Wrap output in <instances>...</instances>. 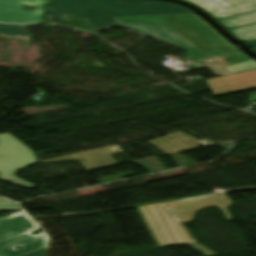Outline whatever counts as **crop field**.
Masks as SVG:
<instances>
[{
    "label": "crop field",
    "mask_w": 256,
    "mask_h": 256,
    "mask_svg": "<svg viewBox=\"0 0 256 256\" xmlns=\"http://www.w3.org/2000/svg\"><path fill=\"white\" fill-rule=\"evenodd\" d=\"M115 20L134 33L150 36L189 51L185 54L194 61L236 50L196 14Z\"/></svg>",
    "instance_id": "8a807250"
},
{
    "label": "crop field",
    "mask_w": 256,
    "mask_h": 256,
    "mask_svg": "<svg viewBox=\"0 0 256 256\" xmlns=\"http://www.w3.org/2000/svg\"><path fill=\"white\" fill-rule=\"evenodd\" d=\"M44 8L45 17L57 22L68 21L65 14L84 17L87 26L94 29L117 23L113 18L193 13L174 3L146 0H51Z\"/></svg>",
    "instance_id": "ac0d7876"
},
{
    "label": "crop field",
    "mask_w": 256,
    "mask_h": 256,
    "mask_svg": "<svg viewBox=\"0 0 256 256\" xmlns=\"http://www.w3.org/2000/svg\"><path fill=\"white\" fill-rule=\"evenodd\" d=\"M37 226L23 211L0 219V255L18 256L46 246L47 237L31 235ZM21 245L23 249L13 247Z\"/></svg>",
    "instance_id": "34b2d1b8"
},
{
    "label": "crop field",
    "mask_w": 256,
    "mask_h": 256,
    "mask_svg": "<svg viewBox=\"0 0 256 256\" xmlns=\"http://www.w3.org/2000/svg\"><path fill=\"white\" fill-rule=\"evenodd\" d=\"M34 153L9 133L0 134V179L18 186L34 188L35 185L16 176L17 170L36 163Z\"/></svg>",
    "instance_id": "412701ff"
},
{
    "label": "crop field",
    "mask_w": 256,
    "mask_h": 256,
    "mask_svg": "<svg viewBox=\"0 0 256 256\" xmlns=\"http://www.w3.org/2000/svg\"><path fill=\"white\" fill-rule=\"evenodd\" d=\"M233 203L224 193L206 195L189 200L166 202L165 204L173 212L181 223L190 222L194 218V211L202 208L218 206L226 216L232 219L226 207Z\"/></svg>",
    "instance_id": "f4fd0767"
},
{
    "label": "crop field",
    "mask_w": 256,
    "mask_h": 256,
    "mask_svg": "<svg viewBox=\"0 0 256 256\" xmlns=\"http://www.w3.org/2000/svg\"><path fill=\"white\" fill-rule=\"evenodd\" d=\"M48 0H0V22L41 23L42 4ZM21 4L36 5L35 12L20 11Z\"/></svg>",
    "instance_id": "dd49c442"
},
{
    "label": "crop field",
    "mask_w": 256,
    "mask_h": 256,
    "mask_svg": "<svg viewBox=\"0 0 256 256\" xmlns=\"http://www.w3.org/2000/svg\"><path fill=\"white\" fill-rule=\"evenodd\" d=\"M210 13L216 20L255 11L256 0H185Z\"/></svg>",
    "instance_id": "e52e79f7"
},
{
    "label": "crop field",
    "mask_w": 256,
    "mask_h": 256,
    "mask_svg": "<svg viewBox=\"0 0 256 256\" xmlns=\"http://www.w3.org/2000/svg\"><path fill=\"white\" fill-rule=\"evenodd\" d=\"M211 69L214 75H225L256 68V61L239 51L225 54L221 57L200 61ZM198 69L204 68L199 62L195 63Z\"/></svg>",
    "instance_id": "d8731c3e"
},
{
    "label": "crop field",
    "mask_w": 256,
    "mask_h": 256,
    "mask_svg": "<svg viewBox=\"0 0 256 256\" xmlns=\"http://www.w3.org/2000/svg\"><path fill=\"white\" fill-rule=\"evenodd\" d=\"M122 151L119 149L117 145L96 149L92 151L77 153L73 155L63 156L54 159L41 160L39 163L44 162H57V161H69L78 159L81 164L86 168L87 171L102 169L112 166H118L119 164L113 159L111 155L121 153ZM87 160L90 165L94 168L92 169L86 162H82L81 159Z\"/></svg>",
    "instance_id": "5a996713"
},
{
    "label": "crop field",
    "mask_w": 256,
    "mask_h": 256,
    "mask_svg": "<svg viewBox=\"0 0 256 256\" xmlns=\"http://www.w3.org/2000/svg\"><path fill=\"white\" fill-rule=\"evenodd\" d=\"M169 138L173 139L172 141ZM180 138L183 141L177 139ZM150 144L161 150L167 155L195 149L196 146L204 145L205 147L213 146L207 140L198 141L192 136H188L182 132L166 135L163 138H159L153 141H149Z\"/></svg>",
    "instance_id": "3316defc"
},
{
    "label": "crop field",
    "mask_w": 256,
    "mask_h": 256,
    "mask_svg": "<svg viewBox=\"0 0 256 256\" xmlns=\"http://www.w3.org/2000/svg\"><path fill=\"white\" fill-rule=\"evenodd\" d=\"M256 79V69L224 77L207 79L210 89Z\"/></svg>",
    "instance_id": "28ad6ade"
},
{
    "label": "crop field",
    "mask_w": 256,
    "mask_h": 256,
    "mask_svg": "<svg viewBox=\"0 0 256 256\" xmlns=\"http://www.w3.org/2000/svg\"><path fill=\"white\" fill-rule=\"evenodd\" d=\"M218 22H220L227 29L244 26L248 24H253V23H256V11L231 17V18H227V19H223V20H219Z\"/></svg>",
    "instance_id": "d1516ede"
},
{
    "label": "crop field",
    "mask_w": 256,
    "mask_h": 256,
    "mask_svg": "<svg viewBox=\"0 0 256 256\" xmlns=\"http://www.w3.org/2000/svg\"><path fill=\"white\" fill-rule=\"evenodd\" d=\"M252 89H256V80L213 89L212 92L214 96L217 97V96H222V95H227V94H232V93H237V92H242V91H247Z\"/></svg>",
    "instance_id": "22f410ed"
},
{
    "label": "crop field",
    "mask_w": 256,
    "mask_h": 256,
    "mask_svg": "<svg viewBox=\"0 0 256 256\" xmlns=\"http://www.w3.org/2000/svg\"><path fill=\"white\" fill-rule=\"evenodd\" d=\"M242 42L256 40V25L230 30Z\"/></svg>",
    "instance_id": "cbeb9de0"
},
{
    "label": "crop field",
    "mask_w": 256,
    "mask_h": 256,
    "mask_svg": "<svg viewBox=\"0 0 256 256\" xmlns=\"http://www.w3.org/2000/svg\"><path fill=\"white\" fill-rule=\"evenodd\" d=\"M24 26L0 24V34L7 37L20 36L27 38L29 35L22 30Z\"/></svg>",
    "instance_id": "5142ce71"
},
{
    "label": "crop field",
    "mask_w": 256,
    "mask_h": 256,
    "mask_svg": "<svg viewBox=\"0 0 256 256\" xmlns=\"http://www.w3.org/2000/svg\"><path fill=\"white\" fill-rule=\"evenodd\" d=\"M20 208L14 204L10 203L5 199H0V210H19Z\"/></svg>",
    "instance_id": "d9b57169"
},
{
    "label": "crop field",
    "mask_w": 256,
    "mask_h": 256,
    "mask_svg": "<svg viewBox=\"0 0 256 256\" xmlns=\"http://www.w3.org/2000/svg\"><path fill=\"white\" fill-rule=\"evenodd\" d=\"M44 250H40V251H36V252H33V253H30V254H27V255H24V256H43L44 254Z\"/></svg>",
    "instance_id": "733c2abd"
},
{
    "label": "crop field",
    "mask_w": 256,
    "mask_h": 256,
    "mask_svg": "<svg viewBox=\"0 0 256 256\" xmlns=\"http://www.w3.org/2000/svg\"><path fill=\"white\" fill-rule=\"evenodd\" d=\"M245 44L249 47L256 46V41L246 42ZM252 50L256 52V48H253Z\"/></svg>",
    "instance_id": "4a817a6b"
},
{
    "label": "crop field",
    "mask_w": 256,
    "mask_h": 256,
    "mask_svg": "<svg viewBox=\"0 0 256 256\" xmlns=\"http://www.w3.org/2000/svg\"><path fill=\"white\" fill-rule=\"evenodd\" d=\"M248 101H256V93L251 94Z\"/></svg>",
    "instance_id": "bc2a9ffb"
},
{
    "label": "crop field",
    "mask_w": 256,
    "mask_h": 256,
    "mask_svg": "<svg viewBox=\"0 0 256 256\" xmlns=\"http://www.w3.org/2000/svg\"><path fill=\"white\" fill-rule=\"evenodd\" d=\"M167 208V207H166ZM167 210L169 211V209L167 208ZM169 213L172 215V216H174V217H176L174 214H172L170 211H169ZM144 219V218H143ZM145 221V220H144Z\"/></svg>",
    "instance_id": "214f88e0"
}]
</instances>
